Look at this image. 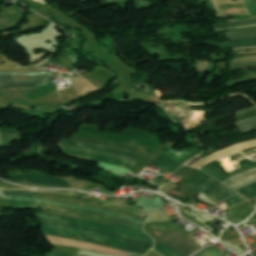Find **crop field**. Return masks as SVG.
<instances>
[{
    "instance_id": "crop-field-1",
    "label": "crop field",
    "mask_w": 256,
    "mask_h": 256,
    "mask_svg": "<svg viewBox=\"0 0 256 256\" xmlns=\"http://www.w3.org/2000/svg\"><path fill=\"white\" fill-rule=\"evenodd\" d=\"M42 232L48 235H55L70 238L82 242L93 243L119 250L144 255L153 245L137 240L126 238L120 235L73 226L69 224L43 222Z\"/></svg>"
},
{
    "instance_id": "crop-field-2",
    "label": "crop field",
    "mask_w": 256,
    "mask_h": 256,
    "mask_svg": "<svg viewBox=\"0 0 256 256\" xmlns=\"http://www.w3.org/2000/svg\"><path fill=\"white\" fill-rule=\"evenodd\" d=\"M53 73H0V89L20 88L22 86L41 87L51 84L49 76ZM56 89L51 84L41 88L22 87L20 90L28 99H36Z\"/></svg>"
},
{
    "instance_id": "crop-field-3",
    "label": "crop field",
    "mask_w": 256,
    "mask_h": 256,
    "mask_svg": "<svg viewBox=\"0 0 256 256\" xmlns=\"http://www.w3.org/2000/svg\"><path fill=\"white\" fill-rule=\"evenodd\" d=\"M9 202L12 204V206L37 207V208H43V209H49V210H55V211L74 213V214H79V215H83V216H87V217H94V218L110 220V221L118 222V223L130 226V227L142 230L141 224L123 219L121 217H115V216H111V215L86 211V210H82V209H78V208H70V207L45 204V203H37V202H31V201L9 200Z\"/></svg>"
},
{
    "instance_id": "crop-field-4",
    "label": "crop field",
    "mask_w": 256,
    "mask_h": 256,
    "mask_svg": "<svg viewBox=\"0 0 256 256\" xmlns=\"http://www.w3.org/2000/svg\"><path fill=\"white\" fill-rule=\"evenodd\" d=\"M35 214L38 216L39 219L69 223V224L83 226V227H87V228L116 233V234L124 235L127 237H131V238H134L137 240H141V241L153 244V240L151 237L133 233V232L121 229V228L108 226V225H104V224H99V223H94V222H89V221H84V220L71 219V218H67V217H63V216L48 215V214H42V213H35Z\"/></svg>"
},
{
    "instance_id": "crop-field-5",
    "label": "crop field",
    "mask_w": 256,
    "mask_h": 256,
    "mask_svg": "<svg viewBox=\"0 0 256 256\" xmlns=\"http://www.w3.org/2000/svg\"><path fill=\"white\" fill-rule=\"evenodd\" d=\"M3 191H4L7 199H23V200L46 202V203L69 205V206H73V207H78V208H83V209H88V210H94V211H100V212H104V213H108V214H112V215H116V216H121V217H124L126 219H129V220L141 223V224L144 223L141 220L133 219L131 217L124 216V215L117 214V213H113V212L106 211V210L89 208V207H84V206H78V205H73V204H68V203H63V202H57V201L35 199L39 194H41V193H38V192H30V191H26V190H15V191L3 190Z\"/></svg>"
},
{
    "instance_id": "crop-field-6",
    "label": "crop field",
    "mask_w": 256,
    "mask_h": 256,
    "mask_svg": "<svg viewBox=\"0 0 256 256\" xmlns=\"http://www.w3.org/2000/svg\"><path fill=\"white\" fill-rule=\"evenodd\" d=\"M61 144H65V145H69V146H73V147H81V148L98 151V152H103V153H110L112 155L127 157V158H131L133 160H137L139 157L142 156V154L124 150V149L88 144V143L68 140L65 138H63Z\"/></svg>"
},
{
    "instance_id": "crop-field-7",
    "label": "crop field",
    "mask_w": 256,
    "mask_h": 256,
    "mask_svg": "<svg viewBox=\"0 0 256 256\" xmlns=\"http://www.w3.org/2000/svg\"><path fill=\"white\" fill-rule=\"evenodd\" d=\"M13 182H22V183H35L59 187L71 188L65 179L47 176V175H38V174H29V173H20L15 176H12Z\"/></svg>"
},
{
    "instance_id": "crop-field-8",
    "label": "crop field",
    "mask_w": 256,
    "mask_h": 256,
    "mask_svg": "<svg viewBox=\"0 0 256 256\" xmlns=\"http://www.w3.org/2000/svg\"><path fill=\"white\" fill-rule=\"evenodd\" d=\"M46 236L50 240V242L54 243V244L70 245V246L88 248V249L101 251V252H104V253H111V254L119 255V256H126V255L133 254V253L123 252V251H119V250H115V249H111V248H106V247H102V246H97V245H93V244L82 243V242H78V241H74V240H70V239L48 236V235H46Z\"/></svg>"
},
{
    "instance_id": "crop-field-9",
    "label": "crop field",
    "mask_w": 256,
    "mask_h": 256,
    "mask_svg": "<svg viewBox=\"0 0 256 256\" xmlns=\"http://www.w3.org/2000/svg\"><path fill=\"white\" fill-rule=\"evenodd\" d=\"M37 198L57 200V201H63V202L78 204V205H84V206H90V207H95V208L107 209V210H111V211H114V212L129 215V216H132V217L137 218V219L141 218L139 216L133 215L131 213L125 212V211L120 210V209L113 210V209L101 207L99 205H101L103 203L90 201V200H85V199L71 198V197H65V196H60V195H55V194H42V195L38 196Z\"/></svg>"
},
{
    "instance_id": "crop-field-10",
    "label": "crop field",
    "mask_w": 256,
    "mask_h": 256,
    "mask_svg": "<svg viewBox=\"0 0 256 256\" xmlns=\"http://www.w3.org/2000/svg\"><path fill=\"white\" fill-rule=\"evenodd\" d=\"M254 145H256V140L242 142V143H239L237 145H234V146H231L229 148H226V149H223L221 151H218L216 153L210 154V155H208V156L198 160L197 162H195L191 166L199 168L201 165L206 164V163H208L210 161H213V160H215L217 158L229 155V154H231L233 152H236L238 150L245 149V148H248V147H251V146H254Z\"/></svg>"
},
{
    "instance_id": "crop-field-11",
    "label": "crop field",
    "mask_w": 256,
    "mask_h": 256,
    "mask_svg": "<svg viewBox=\"0 0 256 256\" xmlns=\"http://www.w3.org/2000/svg\"><path fill=\"white\" fill-rule=\"evenodd\" d=\"M64 151L69 156L75 157V158L88 159V160H92V161L108 163V164L122 166V167H126V168H129L132 165V163H130V162H125V161H121V160H117V159H113V158L102 157V156L87 154V153L73 152V151H69V150H65V149H64Z\"/></svg>"
},
{
    "instance_id": "crop-field-12",
    "label": "crop field",
    "mask_w": 256,
    "mask_h": 256,
    "mask_svg": "<svg viewBox=\"0 0 256 256\" xmlns=\"http://www.w3.org/2000/svg\"><path fill=\"white\" fill-rule=\"evenodd\" d=\"M165 245L179 251L184 256H189L195 250L201 248L193 241V239L190 236L178 239Z\"/></svg>"
},
{
    "instance_id": "crop-field-13",
    "label": "crop field",
    "mask_w": 256,
    "mask_h": 256,
    "mask_svg": "<svg viewBox=\"0 0 256 256\" xmlns=\"http://www.w3.org/2000/svg\"><path fill=\"white\" fill-rule=\"evenodd\" d=\"M202 192L205 193L207 196H209L211 199H213L217 203L222 199L237 193L229 189L228 187H226L220 182L212 185L211 187L207 188Z\"/></svg>"
},
{
    "instance_id": "crop-field-14",
    "label": "crop field",
    "mask_w": 256,
    "mask_h": 256,
    "mask_svg": "<svg viewBox=\"0 0 256 256\" xmlns=\"http://www.w3.org/2000/svg\"><path fill=\"white\" fill-rule=\"evenodd\" d=\"M254 178H256V167L245 172H242L240 174L231 176L222 182L235 188L238 185Z\"/></svg>"
},
{
    "instance_id": "crop-field-15",
    "label": "crop field",
    "mask_w": 256,
    "mask_h": 256,
    "mask_svg": "<svg viewBox=\"0 0 256 256\" xmlns=\"http://www.w3.org/2000/svg\"><path fill=\"white\" fill-rule=\"evenodd\" d=\"M43 211L50 212V213H53V214H59V215L67 216V217H72V218H78V219H85V220H90V221L101 222V223H105V224L121 227V228L130 230V231H134V232H138V233H141V234H145V232H143V231L136 230V229H133V228H130V227L118 224V223L110 222V221H104V220H100V219H92V218L81 217V216H77V215H71V214H67V213L54 212V211H48V210H43ZM145 235H147V234H145Z\"/></svg>"
},
{
    "instance_id": "crop-field-16",
    "label": "crop field",
    "mask_w": 256,
    "mask_h": 256,
    "mask_svg": "<svg viewBox=\"0 0 256 256\" xmlns=\"http://www.w3.org/2000/svg\"><path fill=\"white\" fill-rule=\"evenodd\" d=\"M162 203H163V200L158 197L152 200H148L142 197L138 202L134 204V206L142 207L143 210L152 212L156 208H158L160 205H162Z\"/></svg>"
},
{
    "instance_id": "crop-field-17",
    "label": "crop field",
    "mask_w": 256,
    "mask_h": 256,
    "mask_svg": "<svg viewBox=\"0 0 256 256\" xmlns=\"http://www.w3.org/2000/svg\"><path fill=\"white\" fill-rule=\"evenodd\" d=\"M235 124L239 129L233 131L244 133L246 131L256 129V117L238 121L235 122Z\"/></svg>"
},
{
    "instance_id": "crop-field-18",
    "label": "crop field",
    "mask_w": 256,
    "mask_h": 256,
    "mask_svg": "<svg viewBox=\"0 0 256 256\" xmlns=\"http://www.w3.org/2000/svg\"><path fill=\"white\" fill-rule=\"evenodd\" d=\"M0 58H2V60H3V61H0V71L29 72L27 67H24V68L14 67V64H16V63L6 59L5 56L0 55ZM1 62H4L5 64H1Z\"/></svg>"
},
{
    "instance_id": "crop-field-19",
    "label": "crop field",
    "mask_w": 256,
    "mask_h": 256,
    "mask_svg": "<svg viewBox=\"0 0 256 256\" xmlns=\"http://www.w3.org/2000/svg\"><path fill=\"white\" fill-rule=\"evenodd\" d=\"M154 249L163 254L164 256H183L177 251L162 244L155 246Z\"/></svg>"
},
{
    "instance_id": "crop-field-20",
    "label": "crop field",
    "mask_w": 256,
    "mask_h": 256,
    "mask_svg": "<svg viewBox=\"0 0 256 256\" xmlns=\"http://www.w3.org/2000/svg\"><path fill=\"white\" fill-rule=\"evenodd\" d=\"M149 227L157 229L159 231H162L164 233H167L169 231L175 230L179 228L180 226L171 224V223H166V224H154V225H149Z\"/></svg>"
},
{
    "instance_id": "crop-field-21",
    "label": "crop field",
    "mask_w": 256,
    "mask_h": 256,
    "mask_svg": "<svg viewBox=\"0 0 256 256\" xmlns=\"http://www.w3.org/2000/svg\"><path fill=\"white\" fill-rule=\"evenodd\" d=\"M60 108L58 105H44V104H40L35 111H42V112H46V113H53L56 111H59Z\"/></svg>"
},
{
    "instance_id": "crop-field-22",
    "label": "crop field",
    "mask_w": 256,
    "mask_h": 256,
    "mask_svg": "<svg viewBox=\"0 0 256 256\" xmlns=\"http://www.w3.org/2000/svg\"><path fill=\"white\" fill-rule=\"evenodd\" d=\"M182 236H185V233L183 231L179 230V231H176V232L171 233V234L163 235L159 238L161 239V241L163 243H165L169 240H173V239H176V238H179V237H182Z\"/></svg>"
},
{
    "instance_id": "crop-field-23",
    "label": "crop field",
    "mask_w": 256,
    "mask_h": 256,
    "mask_svg": "<svg viewBox=\"0 0 256 256\" xmlns=\"http://www.w3.org/2000/svg\"><path fill=\"white\" fill-rule=\"evenodd\" d=\"M245 200H247V199H245L241 195L237 194V195H235V196H233V197H231V198H229V199H227L225 201H226V204H227V206L229 208V207H231V206H233L235 204L241 203V202H243Z\"/></svg>"
},
{
    "instance_id": "crop-field-24",
    "label": "crop field",
    "mask_w": 256,
    "mask_h": 256,
    "mask_svg": "<svg viewBox=\"0 0 256 256\" xmlns=\"http://www.w3.org/2000/svg\"><path fill=\"white\" fill-rule=\"evenodd\" d=\"M196 256H223L220 252H218L216 249L213 247L197 254Z\"/></svg>"
},
{
    "instance_id": "crop-field-25",
    "label": "crop field",
    "mask_w": 256,
    "mask_h": 256,
    "mask_svg": "<svg viewBox=\"0 0 256 256\" xmlns=\"http://www.w3.org/2000/svg\"><path fill=\"white\" fill-rule=\"evenodd\" d=\"M245 4L247 5L249 11L251 14H256V4L254 0H243Z\"/></svg>"
},
{
    "instance_id": "crop-field-26",
    "label": "crop field",
    "mask_w": 256,
    "mask_h": 256,
    "mask_svg": "<svg viewBox=\"0 0 256 256\" xmlns=\"http://www.w3.org/2000/svg\"><path fill=\"white\" fill-rule=\"evenodd\" d=\"M2 141H8V140H21V135H1Z\"/></svg>"
},
{
    "instance_id": "crop-field-27",
    "label": "crop field",
    "mask_w": 256,
    "mask_h": 256,
    "mask_svg": "<svg viewBox=\"0 0 256 256\" xmlns=\"http://www.w3.org/2000/svg\"><path fill=\"white\" fill-rule=\"evenodd\" d=\"M220 9L232 8V7H245L243 3H233V4H220L218 5Z\"/></svg>"
},
{
    "instance_id": "crop-field-28",
    "label": "crop field",
    "mask_w": 256,
    "mask_h": 256,
    "mask_svg": "<svg viewBox=\"0 0 256 256\" xmlns=\"http://www.w3.org/2000/svg\"><path fill=\"white\" fill-rule=\"evenodd\" d=\"M1 134H19L17 129H0Z\"/></svg>"
},
{
    "instance_id": "crop-field-29",
    "label": "crop field",
    "mask_w": 256,
    "mask_h": 256,
    "mask_svg": "<svg viewBox=\"0 0 256 256\" xmlns=\"http://www.w3.org/2000/svg\"><path fill=\"white\" fill-rule=\"evenodd\" d=\"M243 42H256V40L243 41ZM243 42H235V43H243ZM235 43H228V44H235ZM202 44H210V45H216V46H220L221 45V44H218L217 42L202 43ZM224 45H227V44H224Z\"/></svg>"
},
{
    "instance_id": "crop-field-30",
    "label": "crop field",
    "mask_w": 256,
    "mask_h": 256,
    "mask_svg": "<svg viewBox=\"0 0 256 256\" xmlns=\"http://www.w3.org/2000/svg\"><path fill=\"white\" fill-rule=\"evenodd\" d=\"M54 55H55V53H54L53 55H51V56L45 58L44 60L33 64V66L37 67V66H39V65H41V64H43V63H45V62H47L48 60H50V58L54 57Z\"/></svg>"
},
{
    "instance_id": "crop-field-31",
    "label": "crop field",
    "mask_w": 256,
    "mask_h": 256,
    "mask_svg": "<svg viewBox=\"0 0 256 256\" xmlns=\"http://www.w3.org/2000/svg\"><path fill=\"white\" fill-rule=\"evenodd\" d=\"M254 182H256V179L251 180V181H249V182H247V183H245V184H243V185H241V186H239V187H237V188H235V189L238 190V189H240V188H242V187H244V186H246V185L252 184V183H254Z\"/></svg>"
},
{
    "instance_id": "crop-field-32",
    "label": "crop field",
    "mask_w": 256,
    "mask_h": 256,
    "mask_svg": "<svg viewBox=\"0 0 256 256\" xmlns=\"http://www.w3.org/2000/svg\"><path fill=\"white\" fill-rule=\"evenodd\" d=\"M47 256H75V255H71V254H49L46 253Z\"/></svg>"
},
{
    "instance_id": "crop-field-33",
    "label": "crop field",
    "mask_w": 256,
    "mask_h": 256,
    "mask_svg": "<svg viewBox=\"0 0 256 256\" xmlns=\"http://www.w3.org/2000/svg\"><path fill=\"white\" fill-rule=\"evenodd\" d=\"M146 256H160V255L156 253L154 250H150Z\"/></svg>"
},
{
    "instance_id": "crop-field-34",
    "label": "crop field",
    "mask_w": 256,
    "mask_h": 256,
    "mask_svg": "<svg viewBox=\"0 0 256 256\" xmlns=\"http://www.w3.org/2000/svg\"><path fill=\"white\" fill-rule=\"evenodd\" d=\"M253 26H256V24L255 25H245V26L229 27V28H243V27H253ZM229 28H220V29H229Z\"/></svg>"
},
{
    "instance_id": "crop-field-35",
    "label": "crop field",
    "mask_w": 256,
    "mask_h": 256,
    "mask_svg": "<svg viewBox=\"0 0 256 256\" xmlns=\"http://www.w3.org/2000/svg\"><path fill=\"white\" fill-rule=\"evenodd\" d=\"M256 29H251V30H245V31H236V32H248V31H255ZM224 33H233V32H224ZM218 34H223V33H218Z\"/></svg>"
},
{
    "instance_id": "crop-field-36",
    "label": "crop field",
    "mask_w": 256,
    "mask_h": 256,
    "mask_svg": "<svg viewBox=\"0 0 256 256\" xmlns=\"http://www.w3.org/2000/svg\"><path fill=\"white\" fill-rule=\"evenodd\" d=\"M256 62V61H254ZM254 62H246V63H238V64H232V65H229V66H234V65H242V64H247V63H254ZM226 67V66H225Z\"/></svg>"
},
{
    "instance_id": "crop-field-37",
    "label": "crop field",
    "mask_w": 256,
    "mask_h": 256,
    "mask_svg": "<svg viewBox=\"0 0 256 256\" xmlns=\"http://www.w3.org/2000/svg\"><path fill=\"white\" fill-rule=\"evenodd\" d=\"M249 21H256V20H249ZM249 21H242V22H249ZM235 23H240V22H235ZM227 24H232V23H227ZM218 25H224V24H218ZM218 25H214V26H218Z\"/></svg>"
},
{
    "instance_id": "crop-field-38",
    "label": "crop field",
    "mask_w": 256,
    "mask_h": 256,
    "mask_svg": "<svg viewBox=\"0 0 256 256\" xmlns=\"http://www.w3.org/2000/svg\"><path fill=\"white\" fill-rule=\"evenodd\" d=\"M251 67H256V66L243 67V68L234 69V70H241V69H246V68H251ZM228 71H231V70H228Z\"/></svg>"
},
{
    "instance_id": "crop-field-39",
    "label": "crop field",
    "mask_w": 256,
    "mask_h": 256,
    "mask_svg": "<svg viewBox=\"0 0 256 256\" xmlns=\"http://www.w3.org/2000/svg\"><path fill=\"white\" fill-rule=\"evenodd\" d=\"M256 22H251V23H247V24H254ZM240 25H245V24H240ZM232 26H237V25H232ZM221 27H229V26H221Z\"/></svg>"
},
{
    "instance_id": "crop-field-40",
    "label": "crop field",
    "mask_w": 256,
    "mask_h": 256,
    "mask_svg": "<svg viewBox=\"0 0 256 256\" xmlns=\"http://www.w3.org/2000/svg\"><path fill=\"white\" fill-rule=\"evenodd\" d=\"M256 39V38H253ZM243 40H250V39H243ZM233 41H241V40H233ZM232 42V41H224L223 43Z\"/></svg>"
},
{
    "instance_id": "crop-field-41",
    "label": "crop field",
    "mask_w": 256,
    "mask_h": 256,
    "mask_svg": "<svg viewBox=\"0 0 256 256\" xmlns=\"http://www.w3.org/2000/svg\"><path fill=\"white\" fill-rule=\"evenodd\" d=\"M250 54H256V53H250ZM237 55H248V54H234V55H230V57L237 56Z\"/></svg>"
},
{
    "instance_id": "crop-field-42",
    "label": "crop field",
    "mask_w": 256,
    "mask_h": 256,
    "mask_svg": "<svg viewBox=\"0 0 256 256\" xmlns=\"http://www.w3.org/2000/svg\"><path fill=\"white\" fill-rule=\"evenodd\" d=\"M244 46H256V45H244ZM235 47H243V46H233L231 48H235Z\"/></svg>"
},
{
    "instance_id": "crop-field-43",
    "label": "crop field",
    "mask_w": 256,
    "mask_h": 256,
    "mask_svg": "<svg viewBox=\"0 0 256 256\" xmlns=\"http://www.w3.org/2000/svg\"><path fill=\"white\" fill-rule=\"evenodd\" d=\"M253 37H256V36H252V37H243V38H253ZM233 39H241V38H233ZM229 40V39H227Z\"/></svg>"
},
{
    "instance_id": "crop-field-44",
    "label": "crop field",
    "mask_w": 256,
    "mask_h": 256,
    "mask_svg": "<svg viewBox=\"0 0 256 256\" xmlns=\"http://www.w3.org/2000/svg\"><path fill=\"white\" fill-rule=\"evenodd\" d=\"M249 33H254V32H249ZM241 34H246V33H241ZM231 35H237V34H231ZM219 36H226V35H219Z\"/></svg>"
},
{
    "instance_id": "crop-field-45",
    "label": "crop field",
    "mask_w": 256,
    "mask_h": 256,
    "mask_svg": "<svg viewBox=\"0 0 256 256\" xmlns=\"http://www.w3.org/2000/svg\"><path fill=\"white\" fill-rule=\"evenodd\" d=\"M250 56H253V55H250ZM240 57H244V56H240ZM236 58H239V57H236ZM230 59H234V58H230ZM226 60H228V59H226Z\"/></svg>"
},
{
    "instance_id": "crop-field-46",
    "label": "crop field",
    "mask_w": 256,
    "mask_h": 256,
    "mask_svg": "<svg viewBox=\"0 0 256 256\" xmlns=\"http://www.w3.org/2000/svg\"><path fill=\"white\" fill-rule=\"evenodd\" d=\"M0 199H3V197L0 195Z\"/></svg>"
},
{
    "instance_id": "crop-field-47",
    "label": "crop field",
    "mask_w": 256,
    "mask_h": 256,
    "mask_svg": "<svg viewBox=\"0 0 256 256\" xmlns=\"http://www.w3.org/2000/svg\"><path fill=\"white\" fill-rule=\"evenodd\" d=\"M131 256H139V255H131Z\"/></svg>"
},
{
    "instance_id": "crop-field-48",
    "label": "crop field",
    "mask_w": 256,
    "mask_h": 256,
    "mask_svg": "<svg viewBox=\"0 0 256 256\" xmlns=\"http://www.w3.org/2000/svg\"><path fill=\"white\" fill-rule=\"evenodd\" d=\"M0 147H1V143H0Z\"/></svg>"
}]
</instances>
